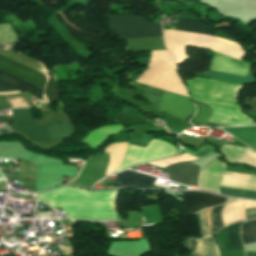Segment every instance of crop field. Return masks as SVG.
Wrapping results in <instances>:
<instances>
[{
	"label": "crop field",
	"instance_id": "13",
	"mask_svg": "<svg viewBox=\"0 0 256 256\" xmlns=\"http://www.w3.org/2000/svg\"><path fill=\"white\" fill-rule=\"evenodd\" d=\"M127 145L128 143H119L111 144L110 146L106 147L104 152L108 153L110 157V162L108 164L105 176L113 173L118 167L125 155Z\"/></svg>",
	"mask_w": 256,
	"mask_h": 256
},
{
	"label": "crop field",
	"instance_id": "25",
	"mask_svg": "<svg viewBox=\"0 0 256 256\" xmlns=\"http://www.w3.org/2000/svg\"><path fill=\"white\" fill-rule=\"evenodd\" d=\"M0 41H18L11 24L0 25Z\"/></svg>",
	"mask_w": 256,
	"mask_h": 256
},
{
	"label": "crop field",
	"instance_id": "29",
	"mask_svg": "<svg viewBox=\"0 0 256 256\" xmlns=\"http://www.w3.org/2000/svg\"><path fill=\"white\" fill-rule=\"evenodd\" d=\"M19 42H0V51H14Z\"/></svg>",
	"mask_w": 256,
	"mask_h": 256
},
{
	"label": "crop field",
	"instance_id": "26",
	"mask_svg": "<svg viewBox=\"0 0 256 256\" xmlns=\"http://www.w3.org/2000/svg\"><path fill=\"white\" fill-rule=\"evenodd\" d=\"M10 108L14 107H33V105L29 100L26 98H10L6 99Z\"/></svg>",
	"mask_w": 256,
	"mask_h": 256
},
{
	"label": "crop field",
	"instance_id": "12",
	"mask_svg": "<svg viewBox=\"0 0 256 256\" xmlns=\"http://www.w3.org/2000/svg\"><path fill=\"white\" fill-rule=\"evenodd\" d=\"M120 125H107L95 129L88 133L82 140L87 144L91 145V148L99 146L103 143L108 136L115 134L117 131L122 129Z\"/></svg>",
	"mask_w": 256,
	"mask_h": 256
},
{
	"label": "crop field",
	"instance_id": "6",
	"mask_svg": "<svg viewBox=\"0 0 256 256\" xmlns=\"http://www.w3.org/2000/svg\"><path fill=\"white\" fill-rule=\"evenodd\" d=\"M14 116L11 130L23 134L31 141L49 140L46 127L35 122L29 109L11 110Z\"/></svg>",
	"mask_w": 256,
	"mask_h": 256
},
{
	"label": "crop field",
	"instance_id": "22",
	"mask_svg": "<svg viewBox=\"0 0 256 256\" xmlns=\"http://www.w3.org/2000/svg\"><path fill=\"white\" fill-rule=\"evenodd\" d=\"M195 102L197 105L198 112L190 122L206 124L208 118L212 114V109L201 102Z\"/></svg>",
	"mask_w": 256,
	"mask_h": 256
},
{
	"label": "crop field",
	"instance_id": "1",
	"mask_svg": "<svg viewBox=\"0 0 256 256\" xmlns=\"http://www.w3.org/2000/svg\"><path fill=\"white\" fill-rule=\"evenodd\" d=\"M116 192L62 187L36 197L52 208L64 209L69 219L116 220Z\"/></svg>",
	"mask_w": 256,
	"mask_h": 256
},
{
	"label": "crop field",
	"instance_id": "31",
	"mask_svg": "<svg viewBox=\"0 0 256 256\" xmlns=\"http://www.w3.org/2000/svg\"><path fill=\"white\" fill-rule=\"evenodd\" d=\"M223 205L217 206L213 208V213L219 212V210L221 209Z\"/></svg>",
	"mask_w": 256,
	"mask_h": 256
},
{
	"label": "crop field",
	"instance_id": "16",
	"mask_svg": "<svg viewBox=\"0 0 256 256\" xmlns=\"http://www.w3.org/2000/svg\"><path fill=\"white\" fill-rule=\"evenodd\" d=\"M38 174L56 176H76L77 170L67 165H37Z\"/></svg>",
	"mask_w": 256,
	"mask_h": 256
},
{
	"label": "crop field",
	"instance_id": "28",
	"mask_svg": "<svg viewBox=\"0 0 256 256\" xmlns=\"http://www.w3.org/2000/svg\"><path fill=\"white\" fill-rule=\"evenodd\" d=\"M221 228H223L222 211H221L220 214H214L213 215V230H214V233L219 231Z\"/></svg>",
	"mask_w": 256,
	"mask_h": 256
},
{
	"label": "crop field",
	"instance_id": "10",
	"mask_svg": "<svg viewBox=\"0 0 256 256\" xmlns=\"http://www.w3.org/2000/svg\"><path fill=\"white\" fill-rule=\"evenodd\" d=\"M155 177L131 172L123 171L118 173L117 176V187L119 186H128L135 188H151Z\"/></svg>",
	"mask_w": 256,
	"mask_h": 256
},
{
	"label": "crop field",
	"instance_id": "4",
	"mask_svg": "<svg viewBox=\"0 0 256 256\" xmlns=\"http://www.w3.org/2000/svg\"><path fill=\"white\" fill-rule=\"evenodd\" d=\"M0 75L25 85L40 95L43 94L46 83V79L43 74L2 56H0ZM2 76H0V92L15 90H20L23 92L26 90L34 94L39 99L42 98V96L33 90L8 80Z\"/></svg>",
	"mask_w": 256,
	"mask_h": 256
},
{
	"label": "crop field",
	"instance_id": "18",
	"mask_svg": "<svg viewBox=\"0 0 256 256\" xmlns=\"http://www.w3.org/2000/svg\"><path fill=\"white\" fill-rule=\"evenodd\" d=\"M232 135L247 143L250 147L256 150V127L247 128H225Z\"/></svg>",
	"mask_w": 256,
	"mask_h": 256
},
{
	"label": "crop field",
	"instance_id": "9",
	"mask_svg": "<svg viewBox=\"0 0 256 256\" xmlns=\"http://www.w3.org/2000/svg\"><path fill=\"white\" fill-rule=\"evenodd\" d=\"M199 169L200 167L192 163L184 162L168 166L164 171L172 173V180L196 186Z\"/></svg>",
	"mask_w": 256,
	"mask_h": 256
},
{
	"label": "crop field",
	"instance_id": "27",
	"mask_svg": "<svg viewBox=\"0 0 256 256\" xmlns=\"http://www.w3.org/2000/svg\"><path fill=\"white\" fill-rule=\"evenodd\" d=\"M195 216H196V220H197L199 230H200V233H201L202 237L209 236L208 232H207V229H206L204 219H203L202 212L200 211V212L196 213Z\"/></svg>",
	"mask_w": 256,
	"mask_h": 256
},
{
	"label": "crop field",
	"instance_id": "21",
	"mask_svg": "<svg viewBox=\"0 0 256 256\" xmlns=\"http://www.w3.org/2000/svg\"><path fill=\"white\" fill-rule=\"evenodd\" d=\"M241 237L244 245L256 243V220L243 223Z\"/></svg>",
	"mask_w": 256,
	"mask_h": 256
},
{
	"label": "crop field",
	"instance_id": "2",
	"mask_svg": "<svg viewBox=\"0 0 256 256\" xmlns=\"http://www.w3.org/2000/svg\"><path fill=\"white\" fill-rule=\"evenodd\" d=\"M193 100L207 103L213 109L210 122L245 126L253 122L244 116L236 104L237 92L240 85L197 77L185 81Z\"/></svg>",
	"mask_w": 256,
	"mask_h": 256
},
{
	"label": "crop field",
	"instance_id": "7",
	"mask_svg": "<svg viewBox=\"0 0 256 256\" xmlns=\"http://www.w3.org/2000/svg\"><path fill=\"white\" fill-rule=\"evenodd\" d=\"M226 197L203 192L183 191L182 204L188 215L198 212L203 208L215 206L226 201Z\"/></svg>",
	"mask_w": 256,
	"mask_h": 256
},
{
	"label": "crop field",
	"instance_id": "5",
	"mask_svg": "<svg viewBox=\"0 0 256 256\" xmlns=\"http://www.w3.org/2000/svg\"><path fill=\"white\" fill-rule=\"evenodd\" d=\"M176 152L172 145L155 139L146 148L129 145L127 154L115 173L138 163L170 157Z\"/></svg>",
	"mask_w": 256,
	"mask_h": 256
},
{
	"label": "crop field",
	"instance_id": "19",
	"mask_svg": "<svg viewBox=\"0 0 256 256\" xmlns=\"http://www.w3.org/2000/svg\"><path fill=\"white\" fill-rule=\"evenodd\" d=\"M177 30L199 32L212 35L210 28L206 27L200 20L180 18Z\"/></svg>",
	"mask_w": 256,
	"mask_h": 256
},
{
	"label": "crop field",
	"instance_id": "32",
	"mask_svg": "<svg viewBox=\"0 0 256 256\" xmlns=\"http://www.w3.org/2000/svg\"><path fill=\"white\" fill-rule=\"evenodd\" d=\"M44 100H47V98H46V96L44 95V98H43Z\"/></svg>",
	"mask_w": 256,
	"mask_h": 256
},
{
	"label": "crop field",
	"instance_id": "11",
	"mask_svg": "<svg viewBox=\"0 0 256 256\" xmlns=\"http://www.w3.org/2000/svg\"><path fill=\"white\" fill-rule=\"evenodd\" d=\"M249 148L225 144L223 151L227 160L231 163L244 162L250 164V166H256V152Z\"/></svg>",
	"mask_w": 256,
	"mask_h": 256
},
{
	"label": "crop field",
	"instance_id": "3",
	"mask_svg": "<svg viewBox=\"0 0 256 256\" xmlns=\"http://www.w3.org/2000/svg\"><path fill=\"white\" fill-rule=\"evenodd\" d=\"M111 31L119 39L163 37L161 24L149 23L143 19L126 16H106ZM159 110L187 121L196 111L190 98L165 92L158 106Z\"/></svg>",
	"mask_w": 256,
	"mask_h": 256
},
{
	"label": "crop field",
	"instance_id": "8",
	"mask_svg": "<svg viewBox=\"0 0 256 256\" xmlns=\"http://www.w3.org/2000/svg\"><path fill=\"white\" fill-rule=\"evenodd\" d=\"M251 62H243L219 52H213L210 69L231 74L245 76L250 69Z\"/></svg>",
	"mask_w": 256,
	"mask_h": 256
},
{
	"label": "crop field",
	"instance_id": "24",
	"mask_svg": "<svg viewBox=\"0 0 256 256\" xmlns=\"http://www.w3.org/2000/svg\"><path fill=\"white\" fill-rule=\"evenodd\" d=\"M45 93L50 103L62 100L58 82L48 81Z\"/></svg>",
	"mask_w": 256,
	"mask_h": 256
},
{
	"label": "crop field",
	"instance_id": "17",
	"mask_svg": "<svg viewBox=\"0 0 256 256\" xmlns=\"http://www.w3.org/2000/svg\"><path fill=\"white\" fill-rule=\"evenodd\" d=\"M194 75L206 76V77L220 79V80H224L232 83H238L242 85L256 81L255 77L252 75L250 71L246 78L231 75V74L219 73L215 71H211L209 73L194 74Z\"/></svg>",
	"mask_w": 256,
	"mask_h": 256
},
{
	"label": "crop field",
	"instance_id": "14",
	"mask_svg": "<svg viewBox=\"0 0 256 256\" xmlns=\"http://www.w3.org/2000/svg\"><path fill=\"white\" fill-rule=\"evenodd\" d=\"M196 246L191 254L196 256H219L218 248L212 235L204 239H194Z\"/></svg>",
	"mask_w": 256,
	"mask_h": 256
},
{
	"label": "crop field",
	"instance_id": "15",
	"mask_svg": "<svg viewBox=\"0 0 256 256\" xmlns=\"http://www.w3.org/2000/svg\"><path fill=\"white\" fill-rule=\"evenodd\" d=\"M220 184L231 185V186H239V187H247V188H255L256 189V184H252V183H243V182L221 180ZM219 189H220L221 194L248 197V198H256V192H254V191L223 188V187H220Z\"/></svg>",
	"mask_w": 256,
	"mask_h": 256
},
{
	"label": "crop field",
	"instance_id": "30",
	"mask_svg": "<svg viewBox=\"0 0 256 256\" xmlns=\"http://www.w3.org/2000/svg\"><path fill=\"white\" fill-rule=\"evenodd\" d=\"M246 218L247 220L256 219V208L246 209Z\"/></svg>",
	"mask_w": 256,
	"mask_h": 256
},
{
	"label": "crop field",
	"instance_id": "20",
	"mask_svg": "<svg viewBox=\"0 0 256 256\" xmlns=\"http://www.w3.org/2000/svg\"><path fill=\"white\" fill-rule=\"evenodd\" d=\"M243 222L228 226L226 228V237L230 246V250H244L241 244L239 229Z\"/></svg>",
	"mask_w": 256,
	"mask_h": 256
},
{
	"label": "crop field",
	"instance_id": "23",
	"mask_svg": "<svg viewBox=\"0 0 256 256\" xmlns=\"http://www.w3.org/2000/svg\"><path fill=\"white\" fill-rule=\"evenodd\" d=\"M110 248L150 250L146 240L133 242H113Z\"/></svg>",
	"mask_w": 256,
	"mask_h": 256
}]
</instances>
